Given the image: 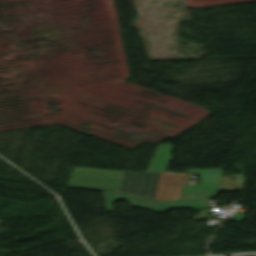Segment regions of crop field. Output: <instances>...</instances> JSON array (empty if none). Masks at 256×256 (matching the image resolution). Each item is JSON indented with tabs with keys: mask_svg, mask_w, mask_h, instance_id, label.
Wrapping results in <instances>:
<instances>
[{
	"mask_svg": "<svg viewBox=\"0 0 256 256\" xmlns=\"http://www.w3.org/2000/svg\"><path fill=\"white\" fill-rule=\"evenodd\" d=\"M170 144L158 145L146 173L74 167L68 186L125 193L155 200H177L186 173L164 174Z\"/></svg>",
	"mask_w": 256,
	"mask_h": 256,
	"instance_id": "crop-field-1",
	"label": "crop field"
}]
</instances>
